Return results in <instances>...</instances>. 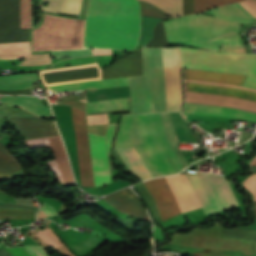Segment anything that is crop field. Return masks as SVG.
<instances>
[{"label": "crop field", "instance_id": "8a807250", "mask_svg": "<svg viewBox=\"0 0 256 256\" xmlns=\"http://www.w3.org/2000/svg\"><path fill=\"white\" fill-rule=\"evenodd\" d=\"M204 13L216 17L193 14L164 21L169 45H186L217 51L223 43L220 51L232 52L242 49L239 35L216 37L228 33H239L241 23L251 22L253 16L238 4ZM210 39L213 40L208 41Z\"/></svg>", "mask_w": 256, "mask_h": 256}, {"label": "crop field", "instance_id": "ac0d7876", "mask_svg": "<svg viewBox=\"0 0 256 256\" xmlns=\"http://www.w3.org/2000/svg\"><path fill=\"white\" fill-rule=\"evenodd\" d=\"M167 111L182 107L181 67L248 75L256 62V54H231L188 47L163 48ZM244 87L256 89V63L247 76Z\"/></svg>", "mask_w": 256, "mask_h": 256}, {"label": "crop field", "instance_id": "34b2d1b8", "mask_svg": "<svg viewBox=\"0 0 256 256\" xmlns=\"http://www.w3.org/2000/svg\"><path fill=\"white\" fill-rule=\"evenodd\" d=\"M139 33L137 0H90L84 48L132 50L138 45Z\"/></svg>", "mask_w": 256, "mask_h": 256}, {"label": "crop field", "instance_id": "412701ff", "mask_svg": "<svg viewBox=\"0 0 256 256\" xmlns=\"http://www.w3.org/2000/svg\"><path fill=\"white\" fill-rule=\"evenodd\" d=\"M138 147L156 177L180 172L184 165L169 144L159 113L127 115ZM127 116L121 118L113 148L135 146L153 177L154 173L140 153ZM177 142L178 138L175 137Z\"/></svg>", "mask_w": 256, "mask_h": 256}, {"label": "crop field", "instance_id": "f4fd0767", "mask_svg": "<svg viewBox=\"0 0 256 256\" xmlns=\"http://www.w3.org/2000/svg\"><path fill=\"white\" fill-rule=\"evenodd\" d=\"M207 215L238 206L228 182L214 174H183ZM158 208L161 220L180 214L164 177L144 181Z\"/></svg>", "mask_w": 256, "mask_h": 256}, {"label": "crop field", "instance_id": "dd49c442", "mask_svg": "<svg viewBox=\"0 0 256 256\" xmlns=\"http://www.w3.org/2000/svg\"><path fill=\"white\" fill-rule=\"evenodd\" d=\"M71 112L82 185L94 187V183L95 186H100L111 182L107 156L110 154L118 123L109 124L106 136L88 132L94 176L93 183L84 112L72 107Z\"/></svg>", "mask_w": 256, "mask_h": 256}, {"label": "crop field", "instance_id": "e52e79f7", "mask_svg": "<svg viewBox=\"0 0 256 256\" xmlns=\"http://www.w3.org/2000/svg\"><path fill=\"white\" fill-rule=\"evenodd\" d=\"M245 78L246 76H243V75H234V74L208 72V71L191 70V69L184 70V80H190V81L242 86ZM190 81H184V82H190ZM199 82H190V83H199ZM208 83H200V84H208ZM218 84H208V85L237 88V89L256 92V90H252L244 87L218 85ZM208 85L185 83V91L226 95V96H233V97H239L243 99L256 101V93L237 90V89L208 86ZM185 114L227 117V118H240V119L256 122L255 113L241 111L237 109H231V108L204 106V105H197V104H190V103H187V109Z\"/></svg>", "mask_w": 256, "mask_h": 256}, {"label": "crop field", "instance_id": "d8731c3e", "mask_svg": "<svg viewBox=\"0 0 256 256\" xmlns=\"http://www.w3.org/2000/svg\"><path fill=\"white\" fill-rule=\"evenodd\" d=\"M144 76L129 78L131 114L166 111L162 48H142Z\"/></svg>", "mask_w": 256, "mask_h": 256}, {"label": "crop field", "instance_id": "5a996713", "mask_svg": "<svg viewBox=\"0 0 256 256\" xmlns=\"http://www.w3.org/2000/svg\"><path fill=\"white\" fill-rule=\"evenodd\" d=\"M124 85H129L128 78L97 80L49 86L48 88L54 91H60L74 89L106 88ZM86 96L87 101L130 97L129 86L86 90ZM126 110H131L130 98L87 102V115Z\"/></svg>", "mask_w": 256, "mask_h": 256}, {"label": "crop field", "instance_id": "3316defc", "mask_svg": "<svg viewBox=\"0 0 256 256\" xmlns=\"http://www.w3.org/2000/svg\"><path fill=\"white\" fill-rule=\"evenodd\" d=\"M30 41V29H20V0H0V43Z\"/></svg>", "mask_w": 256, "mask_h": 256}, {"label": "crop field", "instance_id": "28ad6ade", "mask_svg": "<svg viewBox=\"0 0 256 256\" xmlns=\"http://www.w3.org/2000/svg\"><path fill=\"white\" fill-rule=\"evenodd\" d=\"M143 75L141 49L102 70V79Z\"/></svg>", "mask_w": 256, "mask_h": 256}, {"label": "crop field", "instance_id": "d1516ede", "mask_svg": "<svg viewBox=\"0 0 256 256\" xmlns=\"http://www.w3.org/2000/svg\"><path fill=\"white\" fill-rule=\"evenodd\" d=\"M14 58H28L20 63V65H42L51 63L48 54L30 55V42L0 44V60Z\"/></svg>", "mask_w": 256, "mask_h": 256}, {"label": "crop field", "instance_id": "22f410ed", "mask_svg": "<svg viewBox=\"0 0 256 256\" xmlns=\"http://www.w3.org/2000/svg\"><path fill=\"white\" fill-rule=\"evenodd\" d=\"M26 139H34L59 134L53 122L15 118L7 119Z\"/></svg>", "mask_w": 256, "mask_h": 256}, {"label": "crop field", "instance_id": "cbeb9de0", "mask_svg": "<svg viewBox=\"0 0 256 256\" xmlns=\"http://www.w3.org/2000/svg\"><path fill=\"white\" fill-rule=\"evenodd\" d=\"M36 78V73L2 76L0 77V90L28 89L31 88ZM29 92H31V89L22 91H0V94H23Z\"/></svg>", "mask_w": 256, "mask_h": 256}, {"label": "crop field", "instance_id": "5142ce71", "mask_svg": "<svg viewBox=\"0 0 256 256\" xmlns=\"http://www.w3.org/2000/svg\"><path fill=\"white\" fill-rule=\"evenodd\" d=\"M123 161L128 166L132 175L140 180L151 178L152 175L146 168L145 164L135 151L134 147L118 149Z\"/></svg>", "mask_w": 256, "mask_h": 256}, {"label": "crop field", "instance_id": "d9b57169", "mask_svg": "<svg viewBox=\"0 0 256 256\" xmlns=\"http://www.w3.org/2000/svg\"><path fill=\"white\" fill-rule=\"evenodd\" d=\"M1 101L9 105L21 107L39 116L50 117L48 107L43 106L37 97L9 96L3 97Z\"/></svg>", "mask_w": 256, "mask_h": 256}, {"label": "crop field", "instance_id": "733c2abd", "mask_svg": "<svg viewBox=\"0 0 256 256\" xmlns=\"http://www.w3.org/2000/svg\"><path fill=\"white\" fill-rule=\"evenodd\" d=\"M50 1L48 7L43 6L44 11L60 14L79 15L82 0H43Z\"/></svg>", "mask_w": 256, "mask_h": 256}, {"label": "crop field", "instance_id": "4a817a6b", "mask_svg": "<svg viewBox=\"0 0 256 256\" xmlns=\"http://www.w3.org/2000/svg\"><path fill=\"white\" fill-rule=\"evenodd\" d=\"M21 169L18 162L11 157L4 145L0 144V178L5 175L11 176Z\"/></svg>", "mask_w": 256, "mask_h": 256}, {"label": "crop field", "instance_id": "bc2a9ffb", "mask_svg": "<svg viewBox=\"0 0 256 256\" xmlns=\"http://www.w3.org/2000/svg\"><path fill=\"white\" fill-rule=\"evenodd\" d=\"M149 2L166 12L171 17L183 15L182 0H142Z\"/></svg>", "mask_w": 256, "mask_h": 256}, {"label": "crop field", "instance_id": "214f88e0", "mask_svg": "<svg viewBox=\"0 0 256 256\" xmlns=\"http://www.w3.org/2000/svg\"><path fill=\"white\" fill-rule=\"evenodd\" d=\"M222 237L256 242V231L243 229H225Z\"/></svg>", "mask_w": 256, "mask_h": 256}, {"label": "crop field", "instance_id": "92a150f3", "mask_svg": "<svg viewBox=\"0 0 256 256\" xmlns=\"http://www.w3.org/2000/svg\"><path fill=\"white\" fill-rule=\"evenodd\" d=\"M242 0H194L195 13H201L211 7L235 3Z\"/></svg>", "mask_w": 256, "mask_h": 256}, {"label": "crop field", "instance_id": "dafd665d", "mask_svg": "<svg viewBox=\"0 0 256 256\" xmlns=\"http://www.w3.org/2000/svg\"><path fill=\"white\" fill-rule=\"evenodd\" d=\"M25 142L30 147H51L47 137L34 140H25ZM48 166L56 174L58 180H61L56 160L53 159L48 161Z\"/></svg>", "mask_w": 256, "mask_h": 256}, {"label": "crop field", "instance_id": "00972430", "mask_svg": "<svg viewBox=\"0 0 256 256\" xmlns=\"http://www.w3.org/2000/svg\"><path fill=\"white\" fill-rule=\"evenodd\" d=\"M5 249L14 256H48L44 253L40 246H25V249L29 252L30 255L23 247Z\"/></svg>", "mask_w": 256, "mask_h": 256}, {"label": "crop field", "instance_id": "a9b5d70f", "mask_svg": "<svg viewBox=\"0 0 256 256\" xmlns=\"http://www.w3.org/2000/svg\"><path fill=\"white\" fill-rule=\"evenodd\" d=\"M168 45L164 25L159 22L155 28L154 37L150 40V42L146 46H165Z\"/></svg>", "mask_w": 256, "mask_h": 256}, {"label": "crop field", "instance_id": "4177f3b9", "mask_svg": "<svg viewBox=\"0 0 256 256\" xmlns=\"http://www.w3.org/2000/svg\"><path fill=\"white\" fill-rule=\"evenodd\" d=\"M30 210H0V214H35ZM34 215H0V219H32Z\"/></svg>", "mask_w": 256, "mask_h": 256}, {"label": "crop field", "instance_id": "730fd06b", "mask_svg": "<svg viewBox=\"0 0 256 256\" xmlns=\"http://www.w3.org/2000/svg\"><path fill=\"white\" fill-rule=\"evenodd\" d=\"M52 53L54 58L92 55L90 49L60 50L52 51Z\"/></svg>", "mask_w": 256, "mask_h": 256}, {"label": "crop field", "instance_id": "eef30255", "mask_svg": "<svg viewBox=\"0 0 256 256\" xmlns=\"http://www.w3.org/2000/svg\"><path fill=\"white\" fill-rule=\"evenodd\" d=\"M136 189L139 191V193L141 194V196L143 197V199L147 202L154 218H158L159 215H158V212H157V209H156V206L154 204V201L151 197V195L149 194V192L147 191L146 187L144 186L143 182L136 185L135 186Z\"/></svg>", "mask_w": 256, "mask_h": 256}, {"label": "crop field", "instance_id": "ae1a2a85", "mask_svg": "<svg viewBox=\"0 0 256 256\" xmlns=\"http://www.w3.org/2000/svg\"><path fill=\"white\" fill-rule=\"evenodd\" d=\"M141 2V1H140ZM142 15L167 19L166 14L160 11L158 8L149 5L145 2H141Z\"/></svg>", "mask_w": 256, "mask_h": 256}, {"label": "crop field", "instance_id": "d3111659", "mask_svg": "<svg viewBox=\"0 0 256 256\" xmlns=\"http://www.w3.org/2000/svg\"><path fill=\"white\" fill-rule=\"evenodd\" d=\"M40 239H42L44 242L47 244L51 245L52 247H57L61 243L50 233V231H43V232H38L37 235Z\"/></svg>", "mask_w": 256, "mask_h": 256}, {"label": "crop field", "instance_id": "750c4746", "mask_svg": "<svg viewBox=\"0 0 256 256\" xmlns=\"http://www.w3.org/2000/svg\"><path fill=\"white\" fill-rule=\"evenodd\" d=\"M184 15L192 14L193 11V0H183Z\"/></svg>", "mask_w": 256, "mask_h": 256}, {"label": "crop field", "instance_id": "bd1437ed", "mask_svg": "<svg viewBox=\"0 0 256 256\" xmlns=\"http://www.w3.org/2000/svg\"><path fill=\"white\" fill-rule=\"evenodd\" d=\"M42 210L47 214V216L56 214V211L46 203H43Z\"/></svg>", "mask_w": 256, "mask_h": 256}, {"label": "crop field", "instance_id": "1d83c4d3", "mask_svg": "<svg viewBox=\"0 0 256 256\" xmlns=\"http://www.w3.org/2000/svg\"><path fill=\"white\" fill-rule=\"evenodd\" d=\"M94 55L112 54L110 49H91Z\"/></svg>", "mask_w": 256, "mask_h": 256}, {"label": "crop field", "instance_id": "120bbe31", "mask_svg": "<svg viewBox=\"0 0 256 256\" xmlns=\"http://www.w3.org/2000/svg\"><path fill=\"white\" fill-rule=\"evenodd\" d=\"M0 256H12L9 252H7L5 249L0 250Z\"/></svg>", "mask_w": 256, "mask_h": 256}, {"label": "crop field", "instance_id": "d32e631a", "mask_svg": "<svg viewBox=\"0 0 256 256\" xmlns=\"http://www.w3.org/2000/svg\"><path fill=\"white\" fill-rule=\"evenodd\" d=\"M252 170L254 173H256V167L255 166H251Z\"/></svg>", "mask_w": 256, "mask_h": 256}, {"label": "crop field", "instance_id": "5866460e", "mask_svg": "<svg viewBox=\"0 0 256 256\" xmlns=\"http://www.w3.org/2000/svg\"><path fill=\"white\" fill-rule=\"evenodd\" d=\"M255 203H256V201H255Z\"/></svg>", "mask_w": 256, "mask_h": 256}]
</instances>
